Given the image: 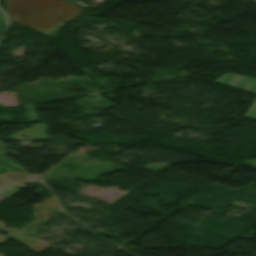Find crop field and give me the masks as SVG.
<instances>
[{
	"label": "crop field",
	"mask_w": 256,
	"mask_h": 256,
	"mask_svg": "<svg viewBox=\"0 0 256 256\" xmlns=\"http://www.w3.org/2000/svg\"><path fill=\"white\" fill-rule=\"evenodd\" d=\"M9 20L48 35L80 15V8L62 0H7Z\"/></svg>",
	"instance_id": "1"
},
{
	"label": "crop field",
	"mask_w": 256,
	"mask_h": 256,
	"mask_svg": "<svg viewBox=\"0 0 256 256\" xmlns=\"http://www.w3.org/2000/svg\"><path fill=\"white\" fill-rule=\"evenodd\" d=\"M215 82L241 91L256 94V79L253 78L226 73ZM246 118L256 119V101L247 113Z\"/></svg>",
	"instance_id": "2"
},
{
	"label": "crop field",
	"mask_w": 256,
	"mask_h": 256,
	"mask_svg": "<svg viewBox=\"0 0 256 256\" xmlns=\"http://www.w3.org/2000/svg\"><path fill=\"white\" fill-rule=\"evenodd\" d=\"M6 241H8V239H6L4 236H2V235L0 234V244L3 243V242H6ZM0 256H5V255H3V254L0 253Z\"/></svg>",
	"instance_id": "3"
},
{
	"label": "crop field",
	"mask_w": 256,
	"mask_h": 256,
	"mask_svg": "<svg viewBox=\"0 0 256 256\" xmlns=\"http://www.w3.org/2000/svg\"><path fill=\"white\" fill-rule=\"evenodd\" d=\"M248 163H250V164L256 166V160H254V161H248Z\"/></svg>",
	"instance_id": "4"
}]
</instances>
